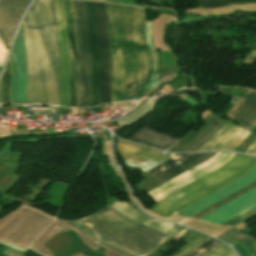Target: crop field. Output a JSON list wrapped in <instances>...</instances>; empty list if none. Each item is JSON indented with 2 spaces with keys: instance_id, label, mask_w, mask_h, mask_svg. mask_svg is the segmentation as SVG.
Instances as JSON below:
<instances>
[{
  "instance_id": "2",
  "label": "crop field",
  "mask_w": 256,
  "mask_h": 256,
  "mask_svg": "<svg viewBox=\"0 0 256 256\" xmlns=\"http://www.w3.org/2000/svg\"><path fill=\"white\" fill-rule=\"evenodd\" d=\"M27 104L58 105L59 59L52 0H35L24 21Z\"/></svg>"
},
{
  "instance_id": "18",
  "label": "crop field",
  "mask_w": 256,
  "mask_h": 256,
  "mask_svg": "<svg viewBox=\"0 0 256 256\" xmlns=\"http://www.w3.org/2000/svg\"><path fill=\"white\" fill-rule=\"evenodd\" d=\"M110 206L117 209L118 211H120L121 213L125 214L128 217L136 221H139L145 225H148L152 228H155L161 232H164L174 238H177L181 233H183L186 230V228L184 227L158 222L148 216L143 215L142 213H140L139 211L135 210L134 208L130 207L129 205L122 201L116 202Z\"/></svg>"
},
{
  "instance_id": "26",
  "label": "crop field",
  "mask_w": 256,
  "mask_h": 256,
  "mask_svg": "<svg viewBox=\"0 0 256 256\" xmlns=\"http://www.w3.org/2000/svg\"><path fill=\"white\" fill-rule=\"evenodd\" d=\"M232 248L238 251L240 256H251L249 250L243 245V243L233 240L228 243Z\"/></svg>"
},
{
  "instance_id": "27",
  "label": "crop field",
  "mask_w": 256,
  "mask_h": 256,
  "mask_svg": "<svg viewBox=\"0 0 256 256\" xmlns=\"http://www.w3.org/2000/svg\"><path fill=\"white\" fill-rule=\"evenodd\" d=\"M231 228V227H230ZM240 234H242V233H240L238 230H236V229H233V228H231V229H229V230H227L226 232H224L223 234H221V235H219L217 238H219V239H221V240H223V241H225V242H230L232 239H234V238H236L237 236H239Z\"/></svg>"
},
{
  "instance_id": "29",
  "label": "crop field",
  "mask_w": 256,
  "mask_h": 256,
  "mask_svg": "<svg viewBox=\"0 0 256 256\" xmlns=\"http://www.w3.org/2000/svg\"><path fill=\"white\" fill-rule=\"evenodd\" d=\"M246 246L251 251L252 256H256V239L246 243Z\"/></svg>"
},
{
  "instance_id": "33",
  "label": "crop field",
  "mask_w": 256,
  "mask_h": 256,
  "mask_svg": "<svg viewBox=\"0 0 256 256\" xmlns=\"http://www.w3.org/2000/svg\"><path fill=\"white\" fill-rule=\"evenodd\" d=\"M129 97H136L135 87L129 89Z\"/></svg>"
},
{
  "instance_id": "20",
  "label": "crop field",
  "mask_w": 256,
  "mask_h": 256,
  "mask_svg": "<svg viewBox=\"0 0 256 256\" xmlns=\"http://www.w3.org/2000/svg\"><path fill=\"white\" fill-rule=\"evenodd\" d=\"M225 121L215 118L200 134H198L182 151H196L210 136H212Z\"/></svg>"
},
{
  "instance_id": "32",
  "label": "crop field",
  "mask_w": 256,
  "mask_h": 256,
  "mask_svg": "<svg viewBox=\"0 0 256 256\" xmlns=\"http://www.w3.org/2000/svg\"><path fill=\"white\" fill-rule=\"evenodd\" d=\"M236 239H238V240H240V241H242V242H247V241H249V240H251V239H253V238H251V237H248V236H246V235H244V234H242V235H240L238 238H236Z\"/></svg>"
},
{
  "instance_id": "13",
  "label": "crop field",
  "mask_w": 256,
  "mask_h": 256,
  "mask_svg": "<svg viewBox=\"0 0 256 256\" xmlns=\"http://www.w3.org/2000/svg\"><path fill=\"white\" fill-rule=\"evenodd\" d=\"M256 179V165L250 169L240 179L230 183L229 185L219 189L218 191L208 195L207 197L197 201L196 203L186 207L185 209L177 212L176 214L184 216L186 218L201 211L202 209L210 206L211 204L221 200L222 198L230 195L231 193L241 189L242 187L250 184Z\"/></svg>"
},
{
  "instance_id": "8",
  "label": "crop field",
  "mask_w": 256,
  "mask_h": 256,
  "mask_svg": "<svg viewBox=\"0 0 256 256\" xmlns=\"http://www.w3.org/2000/svg\"><path fill=\"white\" fill-rule=\"evenodd\" d=\"M11 59V104H26V59L21 26L12 51Z\"/></svg>"
},
{
  "instance_id": "34",
  "label": "crop field",
  "mask_w": 256,
  "mask_h": 256,
  "mask_svg": "<svg viewBox=\"0 0 256 256\" xmlns=\"http://www.w3.org/2000/svg\"><path fill=\"white\" fill-rule=\"evenodd\" d=\"M0 244L7 245V246H11V247H14V248H16V249H19V250H22V251L25 252V248L17 247V246H14V245H10V244H7V243H3V242H0Z\"/></svg>"
},
{
  "instance_id": "16",
  "label": "crop field",
  "mask_w": 256,
  "mask_h": 256,
  "mask_svg": "<svg viewBox=\"0 0 256 256\" xmlns=\"http://www.w3.org/2000/svg\"><path fill=\"white\" fill-rule=\"evenodd\" d=\"M70 59L69 106L77 107V58L71 0H63Z\"/></svg>"
},
{
  "instance_id": "6",
  "label": "crop field",
  "mask_w": 256,
  "mask_h": 256,
  "mask_svg": "<svg viewBox=\"0 0 256 256\" xmlns=\"http://www.w3.org/2000/svg\"><path fill=\"white\" fill-rule=\"evenodd\" d=\"M78 58V107H90V58L84 1L72 0Z\"/></svg>"
},
{
  "instance_id": "9",
  "label": "crop field",
  "mask_w": 256,
  "mask_h": 256,
  "mask_svg": "<svg viewBox=\"0 0 256 256\" xmlns=\"http://www.w3.org/2000/svg\"><path fill=\"white\" fill-rule=\"evenodd\" d=\"M214 154L215 153L178 154L147 173L159 180L161 183H165L166 181L210 158Z\"/></svg>"
},
{
  "instance_id": "24",
  "label": "crop field",
  "mask_w": 256,
  "mask_h": 256,
  "mask_svg": "<svg viewBox=\"0 0 256 256\" xmlns=\"http://www.w3.org/2000/svg\"><path fill=\"white\" fill-rule=\"evenodd\" d=\"M256 215V205L251 207L250 209L240 213L239 215L231 218L230 220L222 223L223 225H231V226H236L245 220L249 219L250 217Z\"/></svg>"
},
{
  "instance_id": "30",
  "label": "crop field",
  "mask_w": 256,
  "mask_h": 256,
  "mask_svg": "<svg viewBox=\"0 0 256 256\" xmlns=\"http://www.w3.org/2000/svg\"><path fill=\"white\" fill-rule=\"evenodd\" d=\"M244 153L256 155V140L244 151Z\"/></svg>"
},
{
  "instance_id": "28",
  "label": "crop field",
  "mask_w": 256,
  "mask_h": 256,
  "mask_svg": "<svg viewBox=\"0 0 256 256\" xmlns=\"http://www.w3.org/2000/svg\"><path fill=\"white\" fill-rule=\"evenodd\" d=\"M209 253V252H208ZM233 253L226 245H220L206 256H228Z\"/></svg>"
},
{
  "instance_id": "12",
  "label": "crop field",
  "mask_w": 256,
  "mask_h": 256,
  "mask_svg": "<svg viewBox=\"0 0 256 256\" xmlns=\"http://www.w3.org/2000/svg\"><path fill=\"white\" fill-rule=\"evenodd\" d=\"M61 59L60 105L68 106L69 59L62 0H54Z\"/></svg>"
},
{
  "instance_id": "35",
  "label": "crop field",
  "mask_w": 256,
  "mask_h": 256,
  "mask_svg": "<svg viewBox=\"0 0 256 256\" xmlns=\"http://www.w3.org/2000/svg\"><path fill=\"white\" fill-rule=\"evenodd\" d=\"M230 256H236V255L233 253V254H231Z\"/></svg>"
},
{
  "instance_id": "31",
  "label": "crop field",
  "mask_w": 256,
  "mask_h": 256,
  "mask_svg": "<svg viewBox=\"0 0 256 256\" xmlns=\"http://www.w3.org/2000/svg\"><path fill=\"white\" fill-rule=\"evenodd\" d=\"M6 54H7L6 50L4 49L2 44L0 43V67L3 65Z\"/></svg>"
},
{
  "instance_id": "10",
  "label": "crop field",
  "mask_w": 256,
  "mask_h": 256,
  "mask_svg": "<svg viewBox=\"0 0 256 256\" xmlns=\"http://www.w3.org/2000/svg\"><path fill=\"white\" fill-rule=\"evenodd\" d=\"M28 0H0V42L8 51Z\"/></svg>"
},
{
  "instance_id": "14",
  "label": "crop field",
  "mask_w": 256,
  "mask_h": 256,
  "mask_svg": "<svg viewBox=\"0 0 256 256\" xmlns=\"http://www.w3.org/2000/svg\"><path fill=\"white\" fill-rule=\"evenodd\" d=\"M241 128V127H240ZM226 122L197 151L202 150H232L234 151L250 132Z\"/></svg>"
},
{
  "instance_id": "36",
  "label": "crop field",
  "mask_w": 256,
  "mask_h": 256,
  "mask_svg": "<svg viewBox=\"0 0 256 256\" xmlns=\"http://www.w3.org/2000/svg\"><path fill=\"white\" fill-rule=\"evenodd\" d=\"M102 1H107V0H102ZM109 1H114V0H109Z\"/></svg>"
},
{
  "instance_id": "21",
  "label": "crop field",
  "mask_w": 256,
  "mask_h": 256,
  "mask_svg": "<svg viewBox=\"0 0 256 256\" xmlns=\"http://www.w3.org/2000/svg\"><path fill=\"white\" fill-rule=\"evenodd\" d=\"M180 237L185 238L183 241L187 242L188 244L177 251L172 256H183L188 253L190 250L207 240L209 237H206L196 231L187 230L184 234Z\"/></svg>"
},
{
  "instance_id": "23",
  "label": "crop field",
  "mask_w": 256,
  "mask_h": 256,
  "mask_svg": "<svg viewBox=\"0 0 256 256\" xmlns=\"http://www.w3.org/2000/svg\"><path fill=\"white\" fill-rule=\"evenodd\" d=\"M220 244V242L210 238L201 245H199L198 247H196L194 250H190L191 252H189L185 256H204L205 254H207Z\"/></svg>"
},
{
  "instance_id": "5",
  "label": "crop field",
  "mask_w": 256,
  "mask_h": 256,
  "mask_svg": "<svg viewBox=\"0 0 256 256\" xmlns=\"http://www.w3.org/2000/svg\"><path fill=\"white\" fill-rule=\"evenodd\" d=\"M91 58V106L110 102V57L104 3L87 2Z\"/></svg>"
},
{
  "instance_id": "15",
  "label": "crop field",
  "mask_w": 256,
  "mask_h": 256,
  "mask_svg": "<svg viewBox=\"0 0 256 256\" xmlns=\"http://www.w3.org/2000/svg\"><path fill=\"white\" fill-rule=\"evenodd\" d=\"M255 204L256 188L246 192L245 194L233 199L232 201L222 205L221 207L198 219L214 224H220Z\"/></svg>"
},
{
  "instance_id": "3",
  "label": "crop field",
  "mask_w": 256,
  "mask_h": 256,
  "mask_svg": "<svg viewBox=\"0 0 256 256\" xmlns=\"http://www.w3.org/2000/svg\"><path fill=\"white\" fill-rule=\"evenodd\" d=\"M75 226L132 256H145L170 236L136 222L112 207L82 219Z\"/></svg>"
},
{
  "instance_id": "1",
  "label": "crop field",
  "mask_w": 256,
  "mask_h": 256,
  "mask_svg": "<svg viewBox=\"0 0 256 256\" xmlns=\"http://www.w3.org/2000/svg\"><path fill=\"white\" fill-rule=\"evenodd\" d=\"M112 58V102L126 101V84L138 80V99L160 84L158 59L151 36L152 22L146 21L145 37L152 66L142 36L145 20L141 8L107 5Z\"/></svg>"
},
{
  "instance_id": "7",
  "label": "crop field",
  "mask_w": 256,
  "mask_h": 256,
  "mask_svg": "<svg viewBox=\"0 0 256 256\" xmlns=\"http://www.w3.org/2000/svg\"><path fill=\"white\" fill-rule=\"evenodd\" d=\"M234 155V153H217L210 159L190 169L170 182L149 191L148 194L153 198L152 200L156 202L202 177L203 175L213 171L214 169L222 166Z\"/></svg>"
},
{
  "instance_id": "25",
  "label": "crop field",
  "mask_w": 256,
  "mask_h": 256,
  "mask_svg": "<svg viewBox=\"0 0 256 256\" xmlns=\"http://www.w3.org/2000/svg\"><path fill=\"white\" fill-rule=\"evenodd\" d=\"M256 0H197L198 6L202 7H220L232 2H244Z\"/></svg>"
},
{
  "instance_id": "17",
  "label": "crop field",
  "mask_w": 256,
  "mask_h": 256,
  "mask_svg": "<svg viewBox=\"0 0 256 256\" xmlns=\"http://www.w3.org/2000/svg\"><path fill=\"white\" fill-rule=\"evenodd\" d=\"M226 116L249 130L256 122V92L249 90Z\"/></svg>"
},
{
  "instance_id": "22",
  "label": "crop field",
  "mask_w": 256,
  "mask_h": 256,
  "mask_svg": "<svg viewBox=\"0 0 256 256\" xmlns=\"http://www.w3.org/2000/svg\"><path fill=\"white\" fill-rule=\"evenodd\" d=\"M0 102L10 104V60L9 58L1 78Z\"/></svg>"
},
{
  "instance_id": "4",
  "label": "crop field",
  "mask_w": 256,
  "mask_h": 256,
  "mask_svg": "<svg viewBox=\"0 0 256 256\" xmlns=\"http://www.w3.org/2000/svg\"><path fill=\"white\" fill-rule=\"evenodd\" d=\"M255 164L256 158L236 154L222 167L156 202L150 209L167 217L240 178Z\"/></svg>"
},
{
  "instance_id": "19",
  "label": "crop field",
  "mask_w": 256,
  "mask_h": 256,
  "mask_svg": "<svg viewBox=\"0 0 256 256\" xmlns=\"http://www.w3.org/2000/svg\"><path fill=\"white\" fill-rule=\"evenodd\" d=\"M130 140L150 144L154 147H159L163 150L168 149L176 142V139L162 135L146 127L134 133Z\"/></svg>"
},
{
  "instance_id": "11",
  "label": "crop field",
  "mask_w": 256,
  "mask_h": 256,
  "mask_svg": "<svg viewBox=\"0 0 256 256\" xmlns=\"http://www.w3.org/2000/svg\"><path fill=\"white\" fill-rule=\"evenodd\" d=\"M116 148L125 163L143 171L169 159L153 150L118 140Z\"/></svg>"
}]
</instances>
